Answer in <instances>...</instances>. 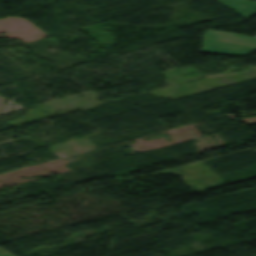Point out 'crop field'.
Returning a JSON list of instances; mask_svg holds the SVG:
<instances>
[{
  "mask_svg": "<svg viewBox=\"0 0 256 256\" xmlns=\"http://www.w3.org/2000/svg\"><path fill=\"white\" fill-rule=\"evenodd\" d=\"M1 252H5V250H3V249L0 248V253H1Z\"/></svg>",
  "mask_w": 256,
  "mask_h": 256,
  "instance_id": "crop-field-5",
  "label": "crop field"
},
{
  "mask_svg": "<svg viewBox=\"0 0 256 256\" xmlns=\"http://www.w3.org/2000/svg\"><path fill=\"white\" fill-rule=\"evenodd\" d=\"M242 120L245 121L247 124L256 123V117H253V118H245V119H242Z\"/></svg>",
  "mask_w": 256,
  "mask_h": 256,
  "instance_id": "crop-field-3",
  "label": "crop field"
},
{
  "mask_svg": "<svg viewBox=\"0 0 256 256\" xmlns=\"http://www.w3.org/2000/svg\"><path fill=\"white\" fill-rule=\"evenodd\" d=\"M251 50H256V38L254 37L206 30L200 51L247 55Z\"/></svg>",
  "mask_w": 256,
  "mask_h": 256,
  "instance_id": "crop-field-1",
  "label": "crop field"
},
{
  "mask_svg": "<svg viewBox=\"0 0 256 256\" xmlns=\"http://www.w3.org/2000/svg\"><path fill=\"white\" fill-rule=\"evenodd\" d=\"M0 256H13V255H11L10 253L6 252V253L0 254Z\"/></svg>",
  "mask_w": 256,
  "mask_h": 256,
  "instance_id": "crop-field-4",
  "label": "crop field"
},
{
  "mask_svg": "<svg viewBox=\"0 0 256 256\" xmlns=\"http://www.w3.org/2000/svg\"><path fill=\"white\" fill-rule=\"evenodd\" d=\"M221 2L224 6L235 10L244 18H249L253 16L256 12V1L249 0H217ZM243 6V7H241Z\"/></svg>",
  "mask_w": 256,
  "mask_h": 256,
  "instance_id": "crop-field-2",
  "label": "crop field"
}]
</instances>
